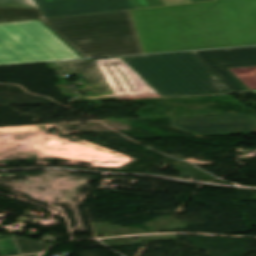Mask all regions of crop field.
Returning a JSON list of instances; mask_svg holds the SVG:
<instances>
[{
	"mask_svg": "<svg viewBox=\"0 0 256 256\" xmlns=\"http://www.w3.org/2000/svg\"><path fill=\"white\" fill-rule=\"evenodd\" d=\"M235 93L251 92L227 68L255 66L256 47L192 52Z\"/></svg>",
	"mask_w": 256,
	"mask_h": 256,
	"instance_id": "5",
	"label": "crop field"
},
{
	"mask_svg": "<svg viewBox=\"0 0 256 256\" xmlns=\"http://www.w3.org/2000/svg\"><path fill=\"white\" fill-rule=\"evenodd\" d=\"M58 66L62 73L74 74L81 79L85 86L76 91L83 92L87 98L113 95L94 60L63 62Z\"/></svg>",
	"mask_w": 256,
	"mask_h": 256,
	"instance_id": "9",
	"label": "crop field"
},
{
	"mask_svg": "<svg viewBox=\"0 0 256 256\" xmlns=\"http://www.w3.org/2000/svg\"><path fill=\"white\" fill-rule=\"evenodd\" d=\"M165 5L180 4V3H191L190 0H162Z\"/></svg>",
	"mask_w": 256,
	"mask_h": 256,
	"instance_id": "14",
	"label": "crop field"
},
{
	"mask_svg": "<svg viewBox=\"0 0 256 256\" xmlns=\"http://www.w3.org/2000/svg\"><path fill=\"white\" fill-rule=\"evenodd\" d=\"M254 133H256V125H255V132Z\"/></svg>",
	"mask_w": 256,
	"mask_h": 256,
	"instance_id": "16",
	"label": "crop field"
},
{
	"mask_svg": "<svg viewBox=\"0 0 256 256\" xmlns=\"http://www.w3.org/2000/svg\"><path fill=\"white\" fill-rule=\"evenodd\" d=\"M0 7L38 8L34 0H0Z\"/></svg>",
	"mask_w": 256,
	"mask_h": 256,
	"instance_id": "12",
	"label": "crop field"
},
{
	"mask_svg": "<svg viewBox=\"0 0 256 256\" xmlns=\"http://www.w3.org/2000/svg\"><path fill=\"white\" fill-rule=\"evenodd\" d=\"M129 11L143 53L256 45V0Z\"/></svg>",
	"mask_w": 256,
	"mask_h": 256,
	"instance_id": "1",
	"label": "crop field"
},
{
	"mask_svg": "<svg viewBox=\"0 0 256 256\" xmlns=\"http://www.w3.org/2000/svg\"><path fill=\"white\" fill-rule=\"evenodd\" d=\"M38 18L84 58L142 53L128 10L46 19L40 9L0 8V22Z\"/></svg>",
	"mask_w": 256,
	"mask_h": 256,
	"instance_id": "2",
	"label": "crop field"
},
{
	"mask_svg": "<svg viewBox=\"0 0 256 256\" xmlns=\"http://www.w3.org/2000/svg\"><path fill=\"white\" fill-rule=\"evenodd\" d=\"M192 3H196V2H203V1H211V0H191Z\"/></svg>",
	"mask_w": 256,
	"mask_h": 256,
	"instance_id": "15",
	"label": "crop field"
},
{
	"mask_svg": "<svg viewBox=\"0 0 256 256\" xmlns=\"http://www.w3.org/2000/svg\"><path fill=\"white\" fill-rule=\"evenodd\" d=\"M33 256H37V255H33Z\"/></svg>",
	"mask_w": 256,
	"mask_h": 256,
	"instance_id": "17",
	"label": "crop field"
},
{
	"mask_svg": "<svg viewBox=\"0 0 256 256\" xmlns=\"http://www.w3.org/2000/svg\"><path fill=\"white\" fill-rule=\"evenodd\" d=\"M79 58L38 20L0 24V65Z\"/></svg>",
	"mask_w": 256,
	"mask_h": 256,
	"instance_id": "4",
	"label": "crop field"
},
{
	"mask_svg": "<svg viewBox=\"0 0 256 256\" xmlns=\"http://www.w3.org/2000/svg\"><path fill=\"white\" fill-rule=\"evenodd\" d=\"M255 124H256V122H255Z\"/></svg>",
	"mask_w": 256,
	"mask_h": 256,
	"instance_id": "18",
	"label": "crop field"
},
{
	"mask_svg": "<svg viewBox=\"0 0 256 256\" xmlns=\"http://www.w3.org/2000/svg\"><path fill=\"white\" fill-rule=\"evenodd\" d=\"M46 18L137 8L133 0H35Z\"/></svg>",
	"mask_w": 256,
	"mask_h": 256,
	"instance_id": "7",
	"label": "crop field"
},
{
	"mask_svg": "<svg viewBox=\"0 0 256 256\" xmlns=\"http://www.w3.org/2000/svg\"><path fill=\"white\" fill-rule=\"evenodd\" d=\"M250 90H256V66L229 69Z\"/></svg>",
	"mask_w": 256,
	"mask_h": 256,
	"instance_id": "11",
	"label": "crop field"
},
{
	"mask_svg": "<svg viewBox=\"0 0 256 256\" xmlns=\"http://www.w3.org/2000/svg\"><path fill=\"white\" fill-rule=\"evenodd\" d=\"M121 58L162 97L234 93L191 52Z\"/></svg>",
	"mask_w": 256,
	"mask_h": 256,
	"instance_id": "3",
	"label": "crop field"
},
{
	"mask_svg": "<svg viewBox=\"0 0 256 256\" xmlns=\"http://www.w3.org/2000/svg\"><path fill=\"white\" fill-rule=\"evenodd\" d=\"M101 72L109 83L111 89L113 90L116 96H136V95H152L161 97L153 88H151L137 73H135L128 65H126L121 58L108 59V60H99L96 61ZM114 63L118 69L124 74L129 84L132 86L135 93H132L128 84L124 78L117 72V70L111 65ZM105 64L108 65L117 81L123 88V92L120 91L111 74L109 73Z\"/></svg>",
	"mask_w": 256,
	"mask_h": 256,
	"instance_id": "8",
	"label": "crop field"
},
{
	"mask_svg": "<svg viewBox=\"0 0 256 256\" xmlns=\"http://www.w3.org/2000/svg\"><path fill=\"white\" fill-rule=\"evenodd\" d=\"M52 244L16 235L0 236V256L41 252Z\"/></svg>",
	"mask_w": 256,
	"mask_h": 256,
	"instance_id": "10",
	"label": "crop field"
},
{
	"mask_svg": "<svg viewBox=\"0 0 256 256\" xmlns=\"http://www.w3.org/2000/svg\"><path fill=\"white\" fill-rule=\"evenodd\" d=\"M138 8L162 6L164 3L161 0H134Z\"/></svg>",
	"mask_w": 256,
	"mask_h": 256,
	"instance_id": "13",
	"label": "crop field"
},
{
	"mask_svg": "<svg viewBox=\"0 0 256 256\" xmlns=\"http://www.w3.org/2000/svg\"><path fill=\"white\" fill-rule=\"evenodd\" d=\"M256 114L171 118L170 126L196 136L253 133Z\"/></svg>",
	"mask_w": 256,
	"mask_h": 256,
	"instance_id": "6",
	"label": "crop field"
}]
</instances>
